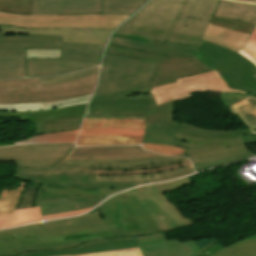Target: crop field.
<instances>
[{
  "instance_id": "8a807250",
  "label": "crop field",
  "mask_w": 256,
  "mask_h": 256,
  "mask_svg": "<svg viewBox=\"0 0 256 256\" xmlns=\"http://www.w3.org/2000/svg\"><path fill=\"white\" fill-rule=\"evenodd\" d=\"M157 64L104 55L99 84L85 116H141L145 123L175 124L172 100L156 106L151 95L144 96Z\"/></svg>"
},
{
  "instance_id": "ac0d7876",
  "label": "crop field",
  "mask_w": 256,
  "mask_h": 256,
  "mask_svg": "<svg viewBox=\"0 0 256 256\" xmlns=\"http://www.w3.org/2000/svg\"><path fill=\"white\" fill-rule=\"evenodd\" d=\"M104 47L62 42V36H0V78L25 77V48L62 49L61 60L27 59V77H43L99 65Z\"/></svg>"
},
{
  "instance_id": "34b2d1b8",
  "label": "crop field",
  "mask_w": 256,
  "mask_h": 256,
  "mask_svg": "<svg viewBox=\"0 0 256 256\" xmlns=\"http://www.w3.org/2000/svg\"><path fill=\"white\" fill-rule=\"evenodd\" d=\"M98 75L39 86L38 78L0 80V104L38 103L92 94Z\"/></svg>"
},
{
  "instance_id": "412701ff",
  "label": "crop field",
  "mask_w": 256,
  "mask_h": 256,
  "mask_svg": "<svg viewBox=\"0 0 256 256\" xmlns=\"http://www.w3.org/2000/svg\"><path fill=\"white\" fill-rule=\"evenodd\" d=\"M184 0H150L112 35L165 42Z\"/></svg>"
},
{
  "instance_id": "f4fd0767",
  "label": "crop field",
  "mask_w": 256,
  "mask_h": 256,
  "mask_svg": "<svg viewBox=\"0 0 256 256\" xmlns=\"http://www.w3.org/2000/svg\"><path fill=\"white\" fill-rule=\"evenodd\" d=\"M189 183L191 180L186 177L165 184L136 188L116 195V197L135 196L163 232L193 224L162 194Z\"/></svg>"
},
{
  "instance_id": "dd49c442",
  "label": "crop field",
  "mask_w": 256,
  "mask_h": 256,
  "mask_svg": "<svg viewBox=\"0 0 256 256\" xmlns=\"http://www.w3.org/2000/svg\"><path fill=\"white\" fill-rule=\"evenodd\" d=\"M131 15H13L0 12V25L25 28L115 29Z\"/></svg>"
},
{
  "instance_id": "e52e79f7",
  "label": "crop field",
  "mask_w": 256,
  "mask_h": 256,
  "mask_svg": "<svg viewBox=\"0 0 256 256\" xmlns=\"http://www.w3.org/2000/svg\"><path fill=\"white\" fill-rule=\"evenodd\" d=\"M196 54L217 69L230 87L256 96V67L241 54L202 40Z\"/></svg>"
},
{
  "instance_id": "d8731c3e",
  "label": "crop field",
  "mask_w": 256,
  "mask_h": 256,
  "mask_svg": "<svg viewBox=\"0 0 256 256\" xmlns=\"http://www.w3.org/2000/svg\"><path fill=\"white\" fill-rule=\"evenodd\" d=\"M104 54L129 56L159 62L146 94L149 93L151 87L174 82L175 78L214 70L213 67L196 54L194 58L159 56L110 45L107 46Z\"/></svg>"
},
{
  "instance_id": "5a996713",
  "label": "crop field",
  "mask_w": 256,
  "mask_h": 256,
  "mask_svg": "<svg viewBox=\"0 0 256 256\" xmlns=\"http://www.w3.org/2000/svg\"><path fill=\"white\" fill-rule=\"evenodd\" d=\"M114 229L115 225L105 227L103 218L98 213L0 230V234H14V237L32 236L41 241H50L67 239V234L99 233Z\"/></svg>"
},
{
  "instance_id": "3316defc",
  "label": "crop field",
  "mask_w": 256,
  "mask_h": 256,
  "mask_svg": "<svg viewBox=\"0 0 256 256\" xmlns=\"http://www.w3.org/2000/svg\"><path fill=\"white\" fill-rule=\"evenodd\" d=\"M186 157H158L131 160L84 161L65 160L56 167L54 174L95 175V170H145L188 162Z\"/></svg>"
},
{
  "instance_id": "28ad6ade",
  "label": "crop field",
  "mask_w": 256,
  "mask_h": 256,
  "mask_svg": "<svg viewBox=\"0 0 256 256\" xmlns=\"http://www.w3.org/2000/svg\"><path fill=\"white\" fill-rule=\"evenodd\" d=\"M218 0H185L168 42L198 44Z\"/></svg>"
},
{
  "instance_id": "d1516ede",
  "label": "crop field",
  "mask_w": 256,
  "mask_h": 256,
  "mask_svg": "<svg viewBox=\"0 0 256 256\" xmlns=\"http://www.w3.org/2000/svg\"><path fill=\"white\" fill-rule=\"evenodd\" d=\"M176 80L177 82L151 89L149 94H152L157 105L171 99L175 102L190 97L194 91L246 93L229 88L216 70Z\"/></svg>"
},
{
  "instance_id": "22f410ed",
  "label": "crop field",
  "mask_w": 256,
  "mask_h": 256,
  "mask_svg": "<svg viewBox=\"0 0 256 256\" xmlns=\"http://www.w3.org/2000/svg\"><path fill=\"white\" fill-rule=\"evenodd\" d=\"M73 145H23L0 148V160H15L16 167L52 168L66 158Z\"/></svg>"
},
{
  "instance_id": "cbeb9de0",
  "label": "crop field",
  "mask_w": 256,
  "mask_h": 256,
  "mask_svg": "<svg viewBox=\"0 0 256 256\" xmlns=\"http://www.w3.org/2000/svg\"><path fill=\"white\" fill-rule=\"evenodd\" d=\"M175 132L209 139L240 138L238 134L252 133L250 129L236 131H207L180 123L176 125L146 124L143 143H160L187 148V143L174 140Z\"/></svg>"
},
{
  "instance_id": "5142ce71",
  "label": "crop field",
  "mask_w": 256,
  "mask_h": 256,
  "mask_svg": "<svg viewBox=\"0 0 256 256\" xmlns=\"http://www.w3.org/2000/svg\"><path fill=\"white\" fill-rule=\"evenodd\" d=\"M254 28L242 21L212 17L201 39L238 52Z\"/></svg>"
},
{
  "instance_id": "d9b57169",
  "label": "crop field",
  "mask_w": 256,
  "mask_h": 256,
  "mask_svg": "<svg viewBox=\"0 0 256 256\" xmlns=\"http://www.w3.org/2000/svg\"><path fill=\"white\" fill-rule=\"evenodd\" d=\"M175 139L188 142V148L185 149L187 157L192 163L227 157L238 153L248 151L242 139L231 140H208L197 139L194 137L175 135Z\"/></svg>"
},
{
  "instance_id": "733c2abd",
  "label": "crop field",
  "mask_w": 256,
  "mask_h": 256,
  "mask_svg": "<svg viewBox=\"0 0 256 256\" xmlns=\"http://www.w3.org/2000/svg\"><path fill=\"white\" fill-rule=\"evenodd\" d=\"M113 30L88 29H25L0 26V35L45 34L63 35V41L105 45Z\"/></svg>"
},
{
  "instance_id": "4a817a6b",
  "label": "crop field",
  "mask_w": 256,
  "mask_h": 256,
  "mask_svg": "<svg viewBox=\"0 0 256 256\" xmlns=\"http://www.w3.org/2000/svg\"><path fill=\"white\" fill-rule=\"evenodd\" d=\"M42 191L43 187L40 186L34 203L35 207L40 206L42 216L91 208L104 200V198L42 194Z\"/></svg>"
},
{
  "instance_id": "bc2a9ffb",
  "label": "crop field",
  "mask_w": 256,
  "mask_h": 256,
  "mask_svg": "<svg viewBox=\"0 0 256 256\" xmlns=\"http://www.w3.org/2000/svg\"><path fill=\"white\" fill-rule=\"evenodd\" d=\"M164 156L144 151L140 146L75 147L67 159L104 160Z\"/></svg>"
},
{
  "instance_id": "214f88e0",
  "label": "crop field",
  "mask_w": 256,
  "mask_h": 256,
  "mask_svg": "<svg viewBox=\"0 0 256 256\" xmlns=\"http://www.w3.org/2000/svg\"><path fill=\"white\" fill-rule=\"evenodd\" d=\"M101 0H33L32 14H97Z\"/></svg>"
},
{
  "instance_id": "92a150f3",
  "label": "crop field",
  "mask_w": 256,
  "mask_h": 256,
  "mask_svg": "<svg viewBox=\"0 0 256 256\" xmlns=\"http://www.w3.org/2000/svg\"><path fill=\"white\" fill-rule=\"evenodd\" d=\"M110 45L122 46L137 49L144 52L155 53L159 55L193 57L198 45L173 44L166 42H141L127 38L111 36ZM175 47V48H174Z\"/></svg>"
},
{
  "instance_id": "dafd665d",
  "label": "crop field",
  "mask_w": 256,
  "mask_h": 256,
  "mask_svg": "<svg viewBox=\"0 0 256 256\" xmlns=\"http://www.w3.org/2000/svg\"><path fill=\"white\" fill-rule=\"evenodd\" d=\"M138 246L134 237L114 238L107 240H99L94 242H87L79 247L60 250V251H41L23 253L19 256H61L73 254H86L94 252H103L111 250L126 249Z\"/></svg>"
},
{
  "instance_id": "00972430",
  "label": "crop field",
  "mask_w": 256,
  "mask_h": 256,
  "mask_svg": "<svg viewBox=\"0 0 256 256\" xmlns=\"http://www.w3.org/2000/svg\"><path fill=\"white\" fill-rule=\"evenodd\" d=\"M218 243L217 240L198 250L192 240L179 243L178 241L165 242L160 244L140 247L144 256H197L203 250Z\"/></svg>"
},
{
  "instance_id": "a9b5d70f",
  "label": "crop field",
  "mask_w": 256,
  "mask_h": 256,
  "mask_svg": "<svg viewBox=\"0 0 256 256\" xmlns=\"http://www.w3.org/2000/svg\"><path fill=\"white\" fill-rule=\"evenodd\" d=\"M98 237H87L81 239H71L62 241L40 242L29 238H14L15 256L22 252L41 251V250H60L81 245L86 241L99 240Z\"/></svg>"
},
{
  "instance_id": "4177f3b9",
  "label": "crop field",
  "mask_w": 256,
  "mask_h": 256,
  "mask_svg": "<svg viewBox=\"0 0 256 256\" xmlns=\"http://www.w3.org/2000/svg\"><path fill=\"white\" fill-rule=\"evenodd\" d=\"M114 198L120 209L122 219L134 216L145 235L161 232L135 197Z\"/></svg>"
},
{
  "instance_id": "730fd06b",
  "label": "crop field",
  "mask_w": 256,
  "mask_h": 256,
  "mask_svg": "<svg viewBox=\"0 0 256 256\" xmlns=\"http://www.w3.org/2000/svg\"><path fill=\"white\" fill-rule=\"evenodd\" d=\"M14 178H18V179L26 180V181H29V182L41 184L43 186L59 187V188H72V189H91V190H95V188H129V187H133V186H136V185L152 183L151 181L134 182V183L96 182V185H87V184H71V183L48 182L49 178L34 177V176L19 175V174H15Z\"/></svg>"
},
{
  "instance_id": "eef30255",
  "label": "crop field",
  "mask_w": 256,
  "mask_h": 256,
  "mask_svg": "<svg viewBox=\"0 0 256 256\" xmlns=\"http://www.w3.org/2000/svg\"><path fill=\"white\" fill-rule=\"evenodd\" d=\"M88 210H90V209L56 214V215H50V216H44V217H41L39 207L18 210V211H15L13 219L11 218L12 220H10V222L3 228L13 227V226H17V225H21V224H25V223L36 222V221L79 215Z\"/></svg>"
},
{
  "instance_id": "ae1a2a85",
  "label": "crop field",
  "mask_w": 256,
  "mask_h": 256,
  "mask_svg": "<svg viewBox=\"0 0 256 256\" xmlns=\"http://www.w3.org/2000/svg\"><path fill=\"white\" fill-rule=\"evenodd\" d=\"M143 136L92 135L79 136L77 146L140 144Z\"/></svg>"
},
{
  "instance_id": "d3111659",
  "label": "crop field",
  "mask_w": 256,
  "mask_h": 256,
  "mask_svg": "<svg viewBox=\"0 0 256 256\" xmlns=\"http://www.w3.org/2000/svg\"><path fill=\"white\" fill-rule=\"evenodd\" d=\"M144 120L135 119H85L81 128H133L144 129Z\"/></svg>"
},
{
  "instance_id": "750c4746",
  "label": "crop field",
  "mask_w": 256,
  "mask_h": 256,
  "mask_svg": "<svg viewBox=\"0 0 256 256\" xmlns=\"http://www.w3.org/2000/svg\"><path fill=\"white\" fill-rule=\"evenodd\" d=\"M144 235L141 228L137 224L134 217L120 220V229L100 233V234H85V235H68V239L71 238H80V237H87V236H98L102 238H114V237H126V236H141Z\"/></svg>"
},
{
  "instance_id": "bd1437ed",
  "label": "crop field",
  "mask_w": 256,
  "mask_h": 256,
  "mask_svg": "<svg viewBox=\"0 0 256 256\" xmlns=\"http://www.w3.org/2000/svg\"><path fill=\"white\" fill-rule=\"evenodd\" d=\"M148 0H102V13L133 14Z\"/></svg>"
},
{
  "instance_id": "1d83c4d3",
  "label": "crop field",
  "mask_w": 256,
  "mask_h": 256,
  "mask_svg": "<svg viewBox=\"0 0 256 256\" xmlns=\"http://www.w3.org/2000/svg\"><path fill=\"white\" fill-rule=\"evenodd\" d=\"M79 130H71L59 133L44 134L30 139L16 141L14 145L32 144V143H65L75 142Z\"/></svg>"
},
{
  "instance_id": "120bbe31",
  "label": "crop field",
  "mask_w": 256,
  "mask_h": 256,
  "mask_svg": "<svg viewBox=\"0 0 256 256\" xmlns=\"http://www.w3.org/2000/svg\"><path fill=\"white\" fill-rule=\"evenodd\" d=\"M83 117L36 123L37 135L79 129Z\"/></svg>"
},
{
  "instance_id": "d32e631a",
  "label": "crop field",
  "mask_w": 256,
  "mask_h": 256,
  "mask_svg": "<svg viewBox=\"0 0 256 256\" xmlns=\"http://www.w3.org/2000/svg\"><path fill=\"white\" fill-rule=\"evenodd\" d=\"M86 107L87 106L56 110V111L40 113V114H30V115H25V117L34 123L49 121V120H56V119H63V118H70V117H78V116L84 115Z\"/></svg>"
},
{
  "instance_id": "5866460e",
  "label": "crop field",
  "mask_w": 256,
  "mask_h": 256,
  "mask_svg": "<svg viewBox=\"0 0 256 256\" xmlns=\"http://www.w3.org/2000/svg\"><path fill=\"white\" fill-rule=\"evenodd\" d=\"M229 108L242 117L250 128H256V97L251 95Z\"/></svg>"
},
{
  "instance_id": "028f5c9d",
  "label": "crop field",
  "mask_w": 256,
  "mask_h": 256,
  "mask_svg": "<svg viewBox=\"0 0 256 256\" xmlns=\"http://www.w3.org/2000/svg\"><path fill=\"white\" fill-rule=\"evenodd\" d=\"M25 181L20 182L17 189L3 190L0 194V216H11Z\"/></svg>"
},
{
  "instance_id": "e1f06a70",
  "label": "crop field",
  "mask_w": 256,
  "mask_h": 256,
  "mask_svg": "<svg viewBox=\"0 0 256 256\" xmlns=\"http://www.w3.org/2000/svg\"><path fill=\"white\" fill-rule=\"evenodd\" d=\"M125 189H96V191L91 190H72V189H58L44 187L43 193H54L63 195H79V196H92V197H108L115 192L122 191Z\"/></svg>"
},
{
  "instance_id": "0bd39190",
  "label": "crop field",
  "mask_w": 256,
  "mask_h": 256,
  "mask_svg": "<svg viewBox=\"0 0 256 256\" xmlns=\"http://www.w3.org/2000/svg\"><path fill=\"white\" fill-rule=\"evenodd\" d=\"M211 256H256V238L247 240Z\"/></svg>"
},
{
  "instance_id": "b80d0937",
  "label": "crop field",
  "mask_w": 256,
  "mask_h": 256,
  "mask_svg": "<svg viewBox=\"0 0 256 256\" xmlns=\"http://www.w3.org/2000/svg\"><path fill=\"white\" fill-rule=\"evenodd\" d=\"M31 0H0V11L30 15Z\"/></svg>"
},
{
  "instance_id": "c035e120",
  "label": "crop field",
  "mask_w": 256,
  "mask_h": 256,
  "mask_svg": "<svg viewBox=\"0 0 256 256\" xmlns=\"http://www.w3.org/2000/svg\"><path fill=\"white\" fill-rule=\"evenodd\" d=\"M98 207L100 208L101 214L104 218L105 225L108 226L116 224V229L119 228V215L113 199H108Z\"/></svg>"
},
{
  "instance_id": "c21b1889",
  "label": "crop field",
  "mask_w": 256,
  "mask_h": 256,
  "mask_svg": "<svg viewBox=\"0 0 256 256\" xmlns=\"http://www.w3.org/2000/svg\"><path fill=\"white\" fill-rule=\"evenodd\" d=\"M98 69L99 67L85 70V71H80L72 74H67L63 76H57V77H50V78H39L40 85H45V84H53V83H59V82H64L68 80H73V79H78L82 77H87V76H92L98 74Z\"/></svg>"
},
{
  "instance_id": "03da06ac",
  "label": "crop field",
  "mask_w": 256,
  "mask_h": 256,
  "mask_svg": "<svg viewBox=\"0 0 256 256\" xmlns=\"http://www.w3.org/2000/svg\"><path fill=\"white\" fill-rule=\"evenodd\" d=\"M253 155L254 154H252L250 152H246V153H242V154L231 156V157H227V158H221V159H215V160L195 163V164H193V166H194L195 170H202V169H206V168H209V167H212V166L222 165L224 163H228V162H232V161H237V160H241V159H244V158H248V157H251Z\"/></svg>"
},
{
  "instance_id": "b54c1fbb",
  "label": "crop field",
  "mask_w": 256,
  "mask_h": 256,
  "mask_svg": "<svg viewBox=\"0 0 256 256\" xmlns=\"http://www.w3.org/2000/svg\"><path fill=\"white\" fill-rule=\"evenodd\" d=\"M144 130L133 129H81L79 135L116 134V135H143Z\"/></svg>"
},
{
  "instance_id": "5d738f31",
  "label": "crop field",
  "mask_w": 256,
  "mask_h": 256,
  "mask_svg": "<svg viewBox=\"0 0 256 256\" xmlns=\"http://www.w3.org/2000/svg\"><path fill=\"white\" fill-rule=\"evenodd\" d=\"M86 102H88V101H86ZM86 102H80V103H86ZM80 103H73V104H66V105H56V106H51V107H46V108H43L41 103H38V104H19V105H0V111H35V110H44V109H51V108L69 106V105L80 104Z\"/></svg>"
},
{
  "instance_id": "d23c7cc5",
  "label": "crop field",
  "mask_w": 256,
  "mask_h": 256,
  "mask_svg": "<svg viewBox=\"0 0 256 256\" xmlns=\"http://www.w3.org/2000/svg\"><path fill=\"white\" fill-rule=\"evenodd\" d=\"M238 53L250 60L256 66V29L245 46H242Z\"/></svg>"
},
{
  "instance_id": "425ffa30",
  "label": "crop field",
  "mask_w": 256,
  "mask_h": 256,
  "mask_svg": "<svg viewBox=\"0 0 256 256\" xmlns=\"http://www.w3.org/2000/svg\"><path fill=\"white\" fill-rule=\"evenodd\" d=\"M191 164L190 162L188 163H183L171 167H165V168H160V169H155V170H146V171H96V175H138V174H149V173H155V172H160V171H167L169 169H175L180 166L184 165H189Z\"/></svg>"
},
{
  "instance_id": "25e5ab78",
  "label": "crop field",
  "mask_w": 256,
  "mask_h": 256,
  "mask_svg": "<svg viewBox=\"0 0 256 256\" xmlns=\"http://www.w3.org/2000/svg\"><path fill=\"white\" fill-rule=\"evenodd\" d=\"M142 147L146 150L166 154V155H178L185 153L184 148H178L174 146L168 145H160V144H142Z\"/></svg>"
},
{
  "instance_id": "73cf0c24",
  "label": "crop field",
  "mask_w": 256,
  "mask_h": 256,
  "mask_svg": "<svg viewBox=\"0 0 256 256\" xmlns=\"http://www.w3.org/2000/svg\"><path fill=\"white\" fill-rule=\"evenodd\" d=\"M192 168V165L180 167L175 170H169L167 172H160L156 174H149V175H139V176H96V179H148V178H156L164 175H168L180 170Z\"/></svg>"
},
{
  "instance_id": "89e229c0",
  "label": "crop field",
  "mask_w": 256,
  "mask_h": 256,
  "mask_svg": "<svg viewBox=\"0 0 256 256\" xmlns=\"http://www.w3.org/2000/svg\"><path fill=\"white\" fill-rule=\"evenodd\" d=\"M49 181L95 184V176L52 175Z\"/></svg>"
},
{
  "instance_id": "1f2cbd36",
  "label": "crop field",
  "mask_w": 256,
  "mask_h": 256,
  "mask_svg": "<svg viewBox=\"0 0 256 256\" xmlns=\"http://www.w3.org/2000/svg\"><path fill=\"white\" fill-rule=\"evenodd\" d=\"M61 50L26 49V58H54L60 59Z\"/></svg>"
},
{
  "instance_id": "dbb93151",
  "label": "crop field",
  "mask_w": 256,
  "mask_h": 256,
  "mask_svg": "<svg viewBox=\"0 0 256 256\" xmlns=\"http://www.w3.org/2000/svg\"><path fill=\"white\" fill-rule=\"evenodd\" d=\"M37 189L38 188L35 187H26L16 210L33 207L34 197Z\"/></svg>"
},
{
  "instance_id": "0fb4a251",
  "label": "crop field",
  "mask_w": 256,
  "mask_h": 256,
  "mask_svg": "<svg viewBox=\"0 0 256 256\" xmlns=\"http://www.w3.org/2000/svg\"><path fill=\"white\" fill-rule=\"evenodd\" d=\"M0 256H14L13 235H0Z\"/></svg>"
},
{
  "instance_id": "1d79db26",
  "label": "crop field",
  "mask_w": 256,
  "mask_h": 256,
  "mask_svg": "<svg viewBox=\"0 0 256 256\" xmlns=\"http://www.w3.org/2000/svg\"><path fill=\"white\" fill-rule=\"evenodd\" d=\"M74 256H142L138 247L126 250L87 254V255H74Z\"/></svg>"
},
{
  "instance_id": "9d1cf04e",
  "label": "crop field",
  "mask_w": 256,
  "mask_h": 256,
  "mask_svg": "<svg viewBox=\"0 0 256 256\" xmlns=\"http://www.w3.org/2000/svg\"><path fill=\"white\" fill-rule=\"evenodd\" d=\"M55 168L43 169V168H16V173L50 177Z\"/></svg>"
},
{
  "instance_id": "447ae74e",
  "label": "crop field",
  "mask_w": 256,
  "mask_h": 256,
  "mask_svg": "<svg viewBox=\"0 0 256 256\" xmlns=\"http://www.w3.org/2000/svg\"><path fill=\"white\" fill-rule=\"evenodd\" d=\"M194 170L192 169H188V170H184V171H180L168 176H164V177H160V178H156V179H149L152 180L153 182L156 181H162V180H168V179H174V178H178L190 173H193ZM96 181H106V182H134V181H145V180H96Z\"/></svg>"
},
{
  "instance_id": "0765c3eb",
  "label": "crop field",
  "mask_w": 256,
  "mask_h": 256,
  "mask_svg": "<svg viewBox=\"0 0 256 256\" xmlns=\"http://www.w3.org/2000/svg\"><path fill=\"white\" fill-rule=\"evenodd\" d=\"M139 246L165 242L166 239L163 233L152 234L148 236L135 237Z\"/></svg>"
},
{
  "instance_id": "db79e9e6",
  "label": "crop field",
  "mask_w": 256,
  "mask_h": 256,
  "mask_svg": "<svg viewBox=\"0 0 256 256\" xmlns=\"http://www.w3.org/2000/svg\"><path fill=\"white\" fill-rule=\"evenodd\" d=\"M249 95H245V94H231V93H224L221 96V99L223 100V102L229 107L232 104H234L235 102L247 97Z\"/></svg>"
},
{
  "instance_id": "7b73153f",
  "label": "crop field",
  "mask_w": 256,
  "mask_h": 256,
  "mask_svg": "<svg viewBox=\"0 0 256 256\" xmlns=\"http://www.w3.org/2000/svg\"><path fill=\"white\" fill-rule=\"evenodd\" d=\"M91 97L90 96H84V97H78V98H72V99H66V100H60L56 102H51V103H42L44 107L46 106H51V105H56V104H66V103H73V102H79V101H86L89 100Z\"/></svg>"
},
{
  "instance_id": "78b8030e",
  "label": "crop field",
  "mask_w": 256,
  "mask_h": 256,
  "mask_svg": "<svg viewBox=\"0 0 256 256\" xmlns=\"http://www.w3.org/2000/svg\"><path fill=\"white\" fill-rule=\"evenodd\" d=\"M84 105H87V103L86 104L69 106V107H77V106H84ZM69 107H63V108H69ZM57 109H62V108H57ZM51 110H56V109H51ZM51 110L35 111V112H0V115H2V116H21V117H24V114L47 112V111H51Z\"/></svg>"
},
{
  "instance_id": "0f1d7ab4",
  "label": "crop field",
  "mask_w": 256,
  "mask_h": 256,
  "mask_svg": "<svg viewBox=\"0 0 256 256\" xmlns=\"http://www.w3.org/2000/svg\"><path fill=\"white\" fill-rule=\"evenodd\" d=\"M241 137L246 144L256 143V134L241 135Z\"/></svg>"
},
{
  "instance_id": "e1d0b9f6",
  "label": "crop field",
  "mask_w": 256,
  "mask_h": 256,
  "mask_svg": "<svg viewBox=\"0 0 256 256\" xmlns=\"http://www.w3.org/2000/svg\"><path fill=\"white\" fill-rule=\"evenodd\" d=\"M85 118H135V119H144V118H141V117H127V116L85 117Z\"/></svg>"
},
{
  "instance_id": "ae633e8c",
  "label": "crop field",
  "mask_w": 256,
  "mask_h": 256,
  "mask_svg": "<svg viewBox=\"0 0 256 256\" xmlns=\"http://www.w3.org/2000/svg\"><path fill=\"white\" fill-rule=\"evenodd\" d=\"M10 217H0V228L9 221Z\"/></svg>"
},
{
  "instance_id": "d14b1444",
  "label": "crop field",
  "mask_w": 256,
  "mask_h": 256,
  "mask_svg": "<svg viewBox=\"0 0 256 256\" xmlns=\"http://www.w3.org/2000/svg\"><path fill=\"white\" fill-rule=\"evenodd\" d=\"M238 1H244V2L256 3V0H238Z\"/></svg>"
},
{
  "instance_id": "c39391a2",
  "label": "crop field",
  "mask_w": 256,
  "mask_h": 256,
  "mask_svg": "<svg viewBox=\"0 0 256 256\" xmlns=\"http://www.w3.org/2000/svg\"><path fill=\"white\" fill-rule=\"evenodd\" d=\"M254 132H256V129H252Z\"/></svg>"
}]
</instances>
